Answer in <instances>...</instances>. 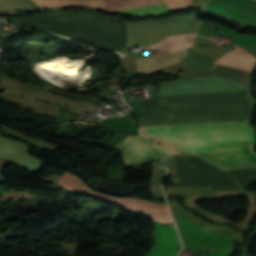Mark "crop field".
Listing matches in <instances>:
<instances>
[{
    "label": "crop field",
    "mask_w": 256,
    "mask_h": 256,
    "mask_svg": "<svg viewBox=\"0 0 256 256\" xmlns=\"http://www.w3.org/2000/svg\"><path fill=\"white\" fill-rule=\"evenodd\" d=\"M178 8L194 6L192 0H175Z\"/></svg>",
    "instance_id": "22f410ed"
},
{
    "label": "crop field",
    "mask_w": 256,
    "mask_h": 256,
    "mask_svg": "<svg viewBox=\"0 0 256 256\" xmlns=\"http://www.w3.org/2000/svg\"><path fill=\"white\" fill-rule=\"evenodd\" d=\"M180 242L174 228H164L157 224V242L145 256H176Z\"/></svg>",
    "instance_id": "d8731c3e"
},
{
    "label": "crop field",
    "mask_w": 256,
    "mask_h": 256,
    "mask_svg": "<svg viewBox=\"0 0 256 256\" xmlns=\"http://www.w3.org/2000/svg\"><path fill=\"white\" fill-rule=\"evenodd\" d=\"M153 165L154 166H166L170 170V172H169L170 174H172L175 171V164L172 162L171 158H169L163 162H158Z\"/></svg>",
    "instance_id": "d1516ede"
},
{
    "label": "crop field",
    "mask_w": 256,
    "mask_h": 256,
    "mask_svg": "<svg viewBox=\"0 0 256 256\" xmlns=\"http://www.w3.org/2000/svg\"><path fill=\"white\" fill-rule=\"evenodd\" d=\"M115 149L123 153L126 164L139 163L148 160H159L169 156L165 146H159L141 135L128 137L117 144Z\"/></svg>",
    "instance_id": "412701ff"
},
{
    "label": "crop field",
    "mask_w": 256,
    "mask_h": 256,
    "mask_svg": "<svg viewBox=\"0 0 256 256\" xmlns=\"http://www.w3.org/2000/svg\"><path fill=\"white\" fill-rule=\"evenodd\" d=\"M38 6H46V0H32ZM49 6H95L106 8L105 0H49Z\"/></svg>",
    "instance_id": "3316defc"
},
{
    "label": "crop field",
    "mask_w": 256,
    "mask_h": 256,
    "mask_svg": "<svg viewBox=\"0 0 256 256\" xmlns=\"http://www.w3.org/2000/svg\"><path fill=\"white\" fill-rule=\"evenodd\" d=\"M194 40L195 35L171 36L145 49L158 50V55H160L177 49L191 47ZM187 56L188 50L185 48L160 56L138 58L136 59V71L145 73L158 71L167 65L178 63Z\"/></svg>",
    "instance_id": "ac0d7876"
},
{
    "label": "crop field",
    "mask_w": 256,
    "mask_h": 256,
    "mask_svg": "<svg viewBox=\"0 0 256 256\" xmlns=\"http://www.w3.org/2000/svg\"><path fill=\"white\" fill-rule=\"evenodd\" d=\"M123 1L134 0H106V3ZM107 11L122 12L128 15H154L166 12L167 9L162 0H145L107 4Z\"/></svg>",
    "instance_id": "e52e79f7"
},
{
    "label": "crop field",
    "mask_w": 256,
    "mask_h": 256,
    "mask_svg": "<svg viewBox=\"0 0 256 256\" xmlns=\"http://www.w3.org/2000/svg\"><path fill=\"white\" fill-rule=\"evenodd\" d=\"M166 171L167 169L165 168L154 169L151 189L161 188V178L165 175Z\"/></svg>",
    "instance_id": "28ad6ade"
},
{
    "label": "crop field",
    "mask_w": 256,
    "mask_h": 256,
    "mask_svg": "<svg viewBox=\"0 0 256 256\" xmlns=\"http://www.w3.org/2000/svg\"><path fill=\"white\" fill-rule=\"evenodd\" d=\"M205 8L256 26V1L210 0Z\"/></svg>",
    "instance_id": "f4fd0767"
},
{
    "label": "crop field",
    "mask_w": 256,
    "mask_h": 256,
    "mask_svg": "<svg viewBox=\"0 0 256 256\" xmlns=\"http://www.w3.org/2000/svg\"><path fill=\"white\" fill-rule=\"evenodd\" d=\"M0 85L27 97H33V98L43 99L51 102L60 103L83 112L94 111L93 106L87 102L69 101L63 98H59L49 93H44L39 88L23 85L13 80H10L8 78H5L3 76L0 81Z\"/></svg>",
    "instance_id": "dd49c442"
},
{
    "label": "crop field",
    "mask_w": 256,
    "mask_h": 256,
    "mask_svg": "<svg viewBox=\"0 0 256 256\" xmlns=\"http://www.w3.org/2000/svg\"><path fill=\"white\" fill-rule=\"evenodd\" d=\"M213 29H217L219 34L226 35L232 39H234L233 44L238 45L245 49L246 51L252 53L254 56H256V37L249 36V35H243V34H237L233 31H230L226 29L223 26H220L218 24L212 23ZM251 54V55H252Z\"/></svg>",
    "instance_id": "5a996713"
},
{
    "label": "crop field",
    "mask_w": 256,
    "mask_h": 256,
    "mask_svg": "<svg viewBox=\"0 0 256 256\" xmlns=\"http://www.w3.org/2000/svg\"><path fill=\"white\" fill-rule=\"evenodd\" d=\"M249 91L159 98L158 107L141 108L140 125L246 121ZM144 136L177 153L201 151L241 142L253 143L248 123H215L141 127Z\"/></svg>",
    "instance_id": "8a807250"
},
{
    "label": "crop field",
    "mask_w": 256,
    "mask_h": 256,
    "mask_svg": "<svg viewBox=\"0 0 256 256\" xmlns=\"http://www.w3.org/2000/svg\"><path fill=\"white\" fill-rule=\"evenodd\" d=\"M243 51L236 49L229 52L219 59L216 64L252 72V68L256 66V60ZM218 65H216L215 69L197 71L192 74V77L220 76L248 84L251 73Z\"/></svg>",
    "instance_id": "34b2d1b8"
}]
</instances>
